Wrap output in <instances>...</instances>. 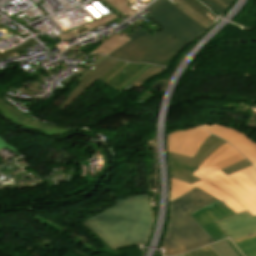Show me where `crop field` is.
<instances>
[{
    "instance_id": "crop-field-21",
    "label": "crop field",
    "mask_w": 256,
    "mask_h": 256,
    "mask_svg": "<svg viewBox=\"0 0 256 256\" xmlns=\"http://www.w3.org/2000/svg\"><path fill=\"white\" fill-rule=\"evenodd\" d=\"M184 256H217V255L210 248V246L207 245L201 249L186 253V254H184Z\"/></svg>"
},
{
    "instance_id": "crop-field-6",
    "label": "crop field",
    "mask_w": 256,
    "mask_h": 256,
    "mask_svg": "<svg viewBox=\"0 0 256 256\" xmlns=\"http://www.w3.org/2000/svg\"><path fill=\"white\" fill-rule=\"evenodd\" d=\"M211 134L200 126L170 134L167 139L168 151L193 157L202 142Z\"/></svg>"
},
{
    "instance_id": "crop-field-23",
    "label": "crop field",
    "mask_w": 256,
    "mask_h": 256,
    "mask_svg": "<svg viewBox=\"0 0 256 256\" xmlns=\"http://www.w3.org/2000/svg\"><path fill=\"white\" fill-rule=\"evenodd\" d=\"M204 2L207 6H209L212 11H214L218 15H223L226 10H224L222 7H220L218 4H216L213 0H201Z\"/></svg>"
},
{
    "instance_id": "crop-field-30",
    "label": "crop field",
    "mask_w": 256,
    "mask_h": 256,
    "mask_svg": "<svg viewBox=\"0 0 256 256\" xmlns=\"http://www.w3.org/2000/svg\"><path fill=\"white\" fill-rule=\"evenodd\" d=\"M223 1L226 2L230 6L234 0H223Z\"/></svg>"
},
{
    "instance_id": "crop-field-3",
    "label": "crop field",
    "mask_w": 256,
    "mask_h": 256,
    "mask_svg": "<svg viewBox=\"0 0 256 256\" xmlns=\"http://www.w3.org/2000/svg\"><path fill=\"white\" fill-rule=\"evenodd\" d=\"M151 221L148 196L115 201L112 208L85 220L114 250L146 242Z\"/></svg>"
},
{
    "instance_id": "crop-field-1",
    "label": "crop field",
    "mask_w": 256,
    "mask_h": 256,
    "mask_svg": "<svg viewBox=\"0 0 256 256\" xmlns=\"http://www.w3.org/2000/svg\"><path fill=\"white\" fill-rule=\"evenodd\" d=\"M245 159L234 147L224 144L193 173L202 180L191 185L171 178L170 201L197 187L231 208L236 214L247 210L256 215V169L245 168L229 176L220 170Z\"/></svg>"
},
{
    "instance_id": "crop-field-17",
    "label": "crop field",
    "mask_w": 256,
    "mask_h": 256,
    "mask_svg": "<svg viewBox=\"0 0 256 256\" xmlns=\"http://www.w3.org/2000/svg\"><path fill=\"white\" fill-rule=\"evenodd\" d=\"M211 248L216 252L218 256H238L229 246V244L223 240L210 244Z\"/></svg>"
},
{
    "instance_id": "crop-field-20",
    "label": "crop field",
    "mask_w": 256,
    "mask_h": 256,
    "mask_svg": "<svg viewBox=\"0 0 256 256\" xmlns=\"http://www.w3.org/2000/svg\"><path fill=\"white\" fill-rule=\"evenodd\" d=\"M248 166H251V164L248 162L247 159H245V160L239 161V162H237V163H235V164L225 168L222 171L225 174L229 175V174H231L233 172H236V171L241 170V169H243L245 167H248Z\"/></svg>"
},
{
    "instance_id": "crop-field-9",
    "label": "crop field",
    "mask_w": 256,
    "mask_h": 256,
    "mask_svg": "<svg viewBox=\"0 0 256 256\" xmlns=\"http://www.w3.org/2000/svg\"><path fill=\"white\" fill-rule=\"evenodd\" d=\"M216 223L232 241L256 234V216L253 217L247 211L224 218Z\"/></svg>"
},
{
    "instance_id": "crop-field-7",
    "label": "crop field",
    "mask_w": 256,
    "mask_h": 256,
    "mask_svg": "<svg viewBox=\"0 0 256 256\" xmlns=\"http://www.w3.org/2000/svg\"><path fill=\"white\" fill-rule=\"evenodd\" d=\"M0 112L7 117L8 119L14 121L17 124H20L22 126H25L27 128L39 130L42 132H45L49 135L61 137L63 135L69 134L71 132L75 131H82L84 132V129H74V128H62V127H56L47 125L44 123H40L35 119L29 118L25 116L24 114L20 113L7 103H5L2 99H0Z\"/></svg>"
},
{
    "instance_id": "crop-field-13",
    "label": "crop field",
    "mask_w": 256,
    "mask_h": 256,
    "mask_svg": "<svg viewBox=\"0 0 256 256\" xmlns=\"http://www.w3.org/2000/svg\"><path fill=\"white\" fill-rule=\"evenodd\" d=\"M144 66L146 65L138 63H129L115 76L109 79L107 83L118 88L129 78H131L134 74H136L139 70H141Z\"/></svg>"
},
{
    "instance_id": "crop-field-12",
    "label": "crop field",
    "mask_w": 256,
    "mask_h": 256,
    "mask_svg": "<svg viewBox=\"0 0 256 256\" xmlns=\"http://www.w3.org/2000/svg\"><path fill=\"white\" fill-rule=\"evenodd\" d=\"M163 68L158 67V66H152V65H147L144 67L141 71H139L136 75H134L131 79H129L126 83H124L119 89L125 88L128 84H132L135 87L136 86H141L144 82H146L148 79L151 77L161 73ZM137 87V88H138Z\"/></svg>"
},
{
    "instance_id": "crop-field-10",
    "label": "crop field",
    "mask_w": 256,
    "mask_h": 256,
    "mask_svg": "<svg viewBox=\"0 0 256 256\" xmlns=\"http://www.w3.org/2000/svg\"><path fill=\"white\" fill-rule=\"evenodd\" d=\"M232 214L234 213L229 208L217 201L192 215L207 229L214 239L218 241L227 238V236L213 221Z\"/></svg>"
},
{
    "instance_id": "crop-field-15",
    "label": "crop field",
    "mask_w": 256,
    "mask_h": 256,
    "mask_svg": "<svg viewBox=\"0 0 256 256\" xmlns=\"http://www.w3.org/2000/svg\"><path fill=\"white\" fill-rule=\"evenodd\" d=\"M174 1L183 7L180 10H182L184 13H186L188 16H190L192 19H194L204 28L207 29L213 24L210 20H208L203 14H201L198 10H196L193 6H191L185 0H174Z\"/></svg>"
},
{
    "instance_id": "crop-field-5",
    "label": "crop field",
    "mask_w": 256,
    "mask_h": 256,
    "mask_svg": "<svg viewBox=\"0 0 256 256\" xmlns=\"http://www.w3.org/2000/svg\"><path fill=\"white\" fill-rule=\"evenodd\" d=\"M224 143L226 142L220 140L214 135H211L204 141L193 159L168 152L169 170L171 177L184 180L189 184L200 180L191 174L204 162V160L211 153H213L219 146Z\"/></svg>"
},
{
    "instance_id": "crop-field-4",
    "label": "crop field",
    "mask_w": 256,
    "mask_h": 256,
    "mask_svg": "<svg viewBox=\"0 0 256 256\" xmlns=\"http://www.w3.org/2000/svg\"><path fill=\"white\" fill-rule=\"evenodd\" d=\"M214 201L216 200L195 188L170 202V222L163 245L164 256L181 254L215 242L191 215Z\"/></svg>"
},
{
    "instance_id": "crop-field-26",
    "label": "crop field",
    "mask_w": 256,
    "mask_h": 256,
    "mask_svg": "<svg viewBox=\"0 0 256 256\" xmlns=\"http://www.w3.org/2000/svg\"><path fill=\"white\" fill-rule=\"evenodd\" d=\"M6 146L9 149H11L12 151H15L17 153V155L21 154L16 148H14L13 146L9 145L7 142H5L3 139L0 138V148L6 147Z\"/></svg>"
},
{
    "instance_id": "crop-field-22",
    "label": "crop field",
    "mask_w": 256,
    "mask_h": 256,
    "mask_svg": "<svg viewBox=\"0 0 256 256\" xmlns=\"http://www.w3.org/2000/svg\"><path fill=\"white\" fill-rule=\"evenodd\" d=\"M186 1L189 2L191 5H193L200 12H202L213 23L215 22L216 18L203 5H201L198 1H196V0H186Z\"/></svg>"
},
{
    "instance_id": "crop-field-19",
    "label": "crop field",
    "mask_w": 256,
    "mask_h": 256,
    "mask_svg": "<svg viewBox=\"0 0 256 256\" xmlns=\"http://www.w3.org/2000/svg\"><path fill=\"white\" fill-rule=\"evenodd\" d=\"M116 18H118L117 16H115L114 14H110V15H107V16H105V17H102V18H100V19H98V20H96V21H93V22H91V23H89V24H86V26L90 29V30H92V29H94V28H97V27H99V26H102V25H104V24H106V23H108V22H111L112 20H114V19H116ZM84 26V25H83ZM82 27V26H81ZM80 28V27H79Z\"/></svg>"
},
{
    "instance_id": "crop-field-27",
    "label": "crop field",
    "mask_w": 256,
    "mask_h": 256,
    "mask_svg": "<svg viewBox=\"0 0 256 256\" xmlns=\"http://www.w3.org/2000/svg\"><path fill=\"white\" fill-rule=\"evenodd\" d=\"M117 1L119 4H121L126 10H128L132 15L136 14L133 10H131L127 5L126 2H124L123 0H115Z\"/></svg>"
},
{
    "instance_id": "crop-field-11",
    "label": "crop field",
    "mask_w": 256,
    "mask_h": 256,
    "mask_svg": "<svg viewBox=\"0 0 256 256\" xmlns=\"http://www.w3.org/2000/svg\"><path fill=\"white\" fill-rule=\"evenodd\" d=\"M119 61L105 59L97 65L83 80L72 90L71 94L63 102L61 109L68 107L77 97H79L89 86H91L99 77L105 74Z\"/></svg>"
},
{
    "instance_id": "crop-field-29",
    "label": "crop field",
    "mask_w": 256,
    "mask_h": 256,
    "mask_svg": "<svg viewBox=\"0 0 256 256\" xmlns=\"http://www.w3.org/2000/svg\"><path fill=\"white\" fill-rule=\"evenodd\" d=\"M215 2H217L219 5H221L223 8H225L227 10V8L229 7L227 4H225L222 0H214Z\"/></svg>"
},
{
    "instance_id": "crop-field-32",
    "label": "crop field",
    "mask_w": 256,
    "mask_h": 256,
    "mask_svg": "<svg viewBox=\"0 0 256 256\" xmlns=\"http://www.w3.org/2000/svg\"><path fill=\"white\" fill-rule=\"evenodd\" d=\"M182 256V255H181Z\"/></svg>"
},
{
    "instance_id": "crop-field-25",
    "label": "crop field",
    "mask_w": 256,
    "mask_h": 256,
    "mask_svg": "<svg viewBox=\"0 0 256 256\" xmlns=\"http://www.w3.org/2000/svg\"><path fill=\"white\" fill-rule=\"evenodd\" d=\"M76 29H78V28H75V29H73V30H71V31H69V32H67L63 35L57 36V37H59L61 40H63V39L67 40L69 38H72V37L78 35V33L76 32L77 31Z\"/></svg>"
},
{
    "instance_id": "crop-field-8",
    "label": "crop field",
    "mask_w": 256,
    "mask_h": 256,
    "mask_svg": "<svg viewBox=\"0 0 256 256\" xmlns=\"http://www.w3.org/2000/svg\"><path fill=\"white\" fill-rule=\"evenodd\" d=\"M209 132L228 141L237 148L256 167V144L242 133L219 125H201Z\"/></svg>"
},
{
    "instance_id": "crop-field-14",
    "label": "crop field",
    "mask_w": 256,
    "mask_h": 256,
    "mask_svg": "<svg viewBox=\"0 0 256 256\" xmlns=\"http://www.w3.org/2000/svg\"><path fill=\"white\" fill-rule=\"evenodd\" d=\"M130 39L125 36H120L118 34L113 35L106 42L102 43L101 46L95 48L91 53L107 55L116 49L120 48L122 45L127 43Z\"/></svg>"
},
{
    "instance_id": "crop-field-2",
    "label": "crop field",
    "mask_w": 256,
    "mask_h": 256,
    "mask_svg": "<svg viewBox=\"0 0 256 256\" xmlns=\"http://www.w3.org/2000/svg\"><path fill=\"white\" fill-rule=\"evenodd\" d=\"M148 9L153 12L147 16L164 29L152 36L140 28L127 36L131 41L108 56L159 65L206 30L168 0H158Z\"/></svg>"
},
{
    "instance_id": "crop-field-28",
    "label": "crop field",
    "mask_w": 256,
    "mask_h": 256,
    "mask_svg": "<svg viewBox=\"0 0 256 256\" xmlns=\"http://www.w3.org/2000/svg\"><path fill=\"white\" fill-rule=\"evenodd\" d=\"M229 244L230 246L232 247V249L239 255V256H243L238 250L237 248L233 245V243L229 240V239H225Z\"/></svg>"
},
{
    "instance_id": "crop-field-18",
    "label": "crop field",
    "mask_w": 256,
    "mask_h": 256,
    "mask_svg": "<svg viewBox=\"0 0 256 256\" xmlns=\"http://www.w3.org/2000/svg\"><path fill=\"white\" fill-rule=\"evenodd\" d=\"M34 41L35 40L31 38L27 42L23 43L22 45H20L16 48H13V49H10V50H5V51L1 50L0 51V59L15 56L16 55L15 52L21 51L23 49H26V48L32 46Z\"/></svg>"
},
{
    "instance_id": "crop-field-24",
    "label": "crop field",
    "mask_w": 256,
    "mask_h": 256,
    "mask_svg": "<svg viewBox=\"0 0 256 256\" xmlns=\"http://www.w3.org/2000/svg\"><path fill=\"white\" fill-rule=\"evenodd\" d=\"M126 63L125 62H120L117 64L115 67H113L110 71H108L105 75H103L101 78L104 77V80L102 81L103 83H106V80L111 77L114 73H116L120 68H122ZM99 78L98 81L101 79ZM107 84V83H106Z\"/></svg>"
},
{
    "instance_id": "crop-field-31",
    "label": "crop field",
    "mask_w": 256,
    "mask_h": 256,
    "mask_svg": "<svg viewBox=\"0 0 256 256\" xmlns=\"http://www.w3.org/2000/svg\"><path fill=\"white\" fill-rule=\"evenodd\" d=\"M169 1H171V2L176 6V7H178V6H179V5H178V4H176L174 1H172V0H169ZM178 8L180 9V8H182V7H180V6H179Z\"/></svg>"
},
{
    "instance_id": "crop-field-16",
    "label": "crop field",
    "mask_w": 256,
    "mask_h": 256,
    "mask_svg": "<svg viewBox=\"0 0 256 256\" xmlns=\"http://www.w3.org/2000/svg\"><path fill=\"white\" fill-rule=\"evenodd\" d=\"M234 244L245 256H256V235L234 241Z\"/></svg>"
}]
</instances>
